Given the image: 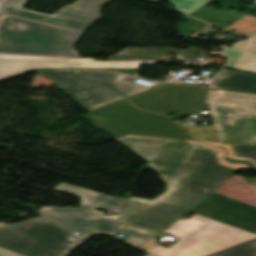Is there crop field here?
Segmentation results:
<instances>
[{"instance_id": "obj_1", "label": "crop field", "mask_w": 256, "mask_h": 256, "mask_svg": "<svg viewBox=\"0 0 256 256\" xmlns=\"http://www.w3.org/2000/svg\"><path fill=\"white\" fill-rule=\"evenodd\" d=\"M117 140L149 161L167 184L153 201L131 198L120 214L121 224L155 233L196 206L236 169L251 170L246 162L225 160V150L199 141L135 135Z\"/></svg>"}, {"instance_id": "obj_2", "label": "crop field", "mask_w": 256, "mask_h": 256, "mask_svg": "<svg viewBox=\"0 0 256 256\" xmlns=\"http://www.w3.org/2000/svg\"><path fill=\"white\" fill-rule=\"evenodd\" d=\"M83 33L13 15H1L0 54L80 57L73 44Z\"/></svg>"}, {"instance_id": "obj_3", "label": "crop field", "mask_w": 256, "mask_h": 256, "mask_svg": "<svg viewBox=\"0 0 256 256\" xmlns=\"http://www.w3.org/2000/svg\"><path fill=\"white\" fill-rule=\"evenodd\" d=\"M166 233L176 236L178 243L167 249L160 245L148 250L157 256H206L256 238L250 233L195 214L186 222L177 221Z\"/></svg>"}, {"instance_id": "obj_4", "label": "crop field", "mask_w": 256, "mask_h": 256, "mask_svg": "<svg viewBox=\"0 0 256 256\" xmlns=\"http://www.w3.org/2000/svg\"><path fill=\"white\" fill-rule=\"evenodd\" d=\"M89 236H74L44 216L0 224V246L27 256H66Z\"/></svg>"}, {"instance_id": "obj_5", "label": "crop field", "mask_w": 256, "mask_h": 256, "mask_svg": "<svg viewBox=\"0 0 256 256\" xmlns=\"http://www.w3.org/2000/svg\"><path fill=\"white\" fill-rule=\"evenodd\" d=\"M104 132L117 139L128 134L196 140L168 115H155L139 110L128 99L88 113Z\"/></svg>"}, {"instance_id": "obj_6", "label": "crop field", "mask_w": 256, "mask_h": 256, "mask_svg": "<svg viewBox=\"0 0 256 256\" xmlns=\"http://www.w3.org/2000/svg\"><path fill=\"white\" fill-rule=\"evenodd\" d=\"M56 190L80 195L82 209L73 208H42L40 212L74 231L105 233L115 235L118 216H104L94 212L92 207H98L119 213L125 200L103 195L91 190L61 183Z\"/></svg>"}, {"instance_id": "obj_7", "label": "crop field", "mask_w": 256, "mask_h": 256, "mask_svg": "<svg viewBox=\"0 0 256 256\" xmlns=\"http://www.w3.org/2000/svg\"><path fill=\"white\" fill-rule=\"evenodd\" d=\"M209 105L221 142L256 145V95L217 90Z\"/></svg>"}, {"instance_id": "obj_8", "label": "crop field", "mask_w": 256, "mask_h": 256, "mask_svg": "<svg viewBox=\"0 0 256 256\" xmlns=\"http://www.w3.org/2000/svg\"><path fill=\"white\" fill-rule=\"evenodd\" d=\"M208 89L209 86L165 83L130 99L135 106L142 109L182 117L207 109Z\"/></svg>"}, {"instance_id": "obj_9", "label": "crop field", "mask_w": 256, "mask_h": 256, "mask_svg": "<svg viewBox=\"0 0 256 256\" xmlns=\"http://www.w3.org/2000/svg\"><path fill=\"white\" fill-rule=\"evenodd\" d=\"M110 0H77L52 15L22 9L25 0H6L2 13L86 30L100 16V8Z\"/></svg>"}, {"instance_id": "obj_10", "label": "crop field", "mask_w": 256, "mask_h": 256, "mask_svg": "<svg viewBox=\"0 0 256 256\" xmlns=\"http://www.w3.org/2000/svg\"><path fill=\"white\" fill-rule=\"evenodd\" d=\"M38 73L54 80L58 89L64 91L88 111L126 98L108 84L75 78L71 76L70 70H38Z\"/></svg>"}, {"instance_id": "obj_11", "label": "crop field", "mask_w": 256, "mask_h": 256, "mask_svg": "<svg viewBox=\"0 0 256 256\" xmlns=\"http://www.w3.org/2000/svg\"><path fill=\"white\" fill-rule=\"evenodd\" d=\"M190 212L250 232L256 231V207L213 192Z\"/></svg>"}, {"instance_id": "obj_12", "label": "crop field", "mask_w": 256, "mask_h": 256, "mask_svg": "<svg viewBox=\"0 0 256 256\" xmlns=\"http://www.w3.org/2000/svg\"><path fill=\"white\" fill-rule=\"evenodd\" d=\"M39 68H137L136 62H97L92 59H50L0 55V80Z\"/></svg>"}, {"instance_id": "obj_13", "label": "crop field", "mask_w": 256, "mask_h": 256, "mask_svg": "<svg viewBox=\"0 0 256 256\" xmlns=\"http://www.w3.org/2000/svg\"><path fill=\"white\" fill-rule=\"evenodd\" d=\"M172 52L179 54L178 59L191 61L206 51L195 47H191L187 50H177L173 48H126L123 52L109 56L108 61L165 60V55Z\"/></svg>"}, {"instance_id": "obj_14", "label": "crop field", "mask_w": 256, "mask_h": 256, "mask_svg": "<svg viewBox=\"0 0 256 256\" xmlns=\"http://www.w3.org/2000/svg\"><path fill=\"white\" fill-rule=\"evenodd\" d=\"M75 76L83 79H89L94 81L106 82L119 91L126 94L128 97L138 94L140 92L151 89L150 87H144L136 85L134 83H126L122 81L123 76H133L130 74L109 70V69H73Z\"/></svg>"}, {"instance_id": "obj_15", "label": "crop field", "mask_w": 256, "mask_h": 256, "mask_svg": "<svg viewBox=\"0 0 256 256\" xmlns=\"http://www.w3.org/2000/svg\"><path fill=\"white\" fill-rule=\"evenodd\" d=\"M212 89L256 94V77L223 71L214 79Z\"/></svg>"}, {"instance_id": "obj_16", "label": "crop field", "mask_w": 256, "mask_h": 256, "mask_svg": "<svg viewBox=\"0 0 256 256\" xmlns=\"http://www.w3.org/2000/svg\"><path fill=\"white\" fill-rule=\"evenodd\" d=\"M221 54L230 58L226 67L256 72V52L226 48Z\"/></svg>"}, {"instance_id": "obj_17", "label": "crop field", "mask_w": 256, "mask_h": 256, "mask_svg": "<svg viewBox=\"0 0 256 256\" xmlns=\"http://www.w3.org/2000/svg\"><path fill=\"white\" fill-rule=\"evenodd\" d=\"M214 144V143H210ZM223 146L226 150H228L227 158L232 160H240L247 159L255 163L256 165V146L250 145H236V144H215Z\"/></svg>"}, {"instance_id": "obj_18", "label": "crop field", "mask_w": 256, "mask_h": 256, "mask_svg": "<svg viewBox=\"0 0 256 256\" xmlns=\"http://www.w3.org/2000/svg\"><path fill=\"white\" fill-rule=\"evenodd\" d=\"M209 256H256V239L222 250Z\"/></svg>"}, {"instance_id": "obj_19", "label": "crop field", "mask_w": 256, "mask_h": 256, "mask_svg": "<svg viewBox=\"0 0 256 256\" xmlns=\"http://www.w3.org/2000/svg\"><path fill=\"white\" fill-rule=\"evenodd\" d=\"M177 11L189 14L208 2H216L213 0H170Z\"/></svg>"}, {"instance_id": "obj_20", "label": "crop field", "mask_w": 256, "mask_h": 256, "mask_svg": "<svg viewBox=\"0 0 256 256\" xmlns=\"http://www.w3.org/2000/svg\"><path fill=\"white\" fill-rule=\"evenodd\" d=\"M194 136L203 141H211L216 138L213 126H204L197 128L196 126L187 128Z\"/></svg>"}, {"instance_id": "obj_21", "label": "crop field", "mask_w": 256, "mask_h": 256, "mask_svg": "<svg viewBox=\"0 0 256 256\" xmlns=\"http://www.w3.org/2000/svg\"><path fill=\"white\" fill-rule=\"evenodd\" d=\"M234 48H240L250 51H256V34L248 37L246 41L236 42L232 45Z\"/></svg>"}, {"instance_id": "obj_22", "label": "crop field", "mask_w": 256, "mask_h": 256, "mask_svg": "<svg viewBox=\"0 0 256 256\" xmlns=\"http://www.w3.org/2000/svg\"><path fill=\"white\" fill-rule=\"evenodd\" d=\"M0 256H24L0 247Z\"/></svg>"}, {"instance_id": "obj_23", "label": "crop field", "mask_w": 256, "mask_h": 256, "mask_svg": "<svg viewBox=\"0 0 256 256\" xmlns=\"http://www.w3.org/2000/svg\"><path fill=\"white\" fill-rule=\"evenodd\" d=\"M156 245L154 239H149L147 242H145L144 244H142L139 248L146 250L152 246Z\"/></svg>"}, {"instance_id": "obj_24", "label": "crop field", "mask_w": 256, "mask_h": 256, "mask_svg": "<svg viewBox=\"0 0 256 256\" xmlns=\"http://www.w3.org/2000/svg\"><path fill=\"white\" fill-rule=\"evenodd\" d=\"M248 182L249 185H252V184H256V178L255 179H249V180H246Z\"/></svg>"}, {"instance_id": "obj_25", "label": "crop field", "mask_w": 256, "mask_h": 256, "mask_svg": "<svg viewBox=\"0 0 256 256\" xmlns=\"http://www.w3.org/2000/svg\"><path fill=\"white\" fill-rule=\"evenodd\" d=\"M224 70H226V71H230V70H227V69H224ZM231 72H235V71H231ZM236 73H241V74L251 75V74L242 73V72H236ZM251 76H255V75H251Z\"/></svg>"}, {"instance_id": "obj_26", "label": "crop field", "mask_w": 256, "mask_h": 256, "mask_svg": "<svg viewBox=\"0 0 256 256\" xmlns=\"http://www.w3.org/2000/svg\"><path fill=\"white\" fill-rule=\"evenodd\" d=\"M146 256H152V255L148 254V255H146Z\"/></svg>"}]
</instances>
